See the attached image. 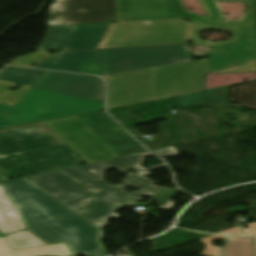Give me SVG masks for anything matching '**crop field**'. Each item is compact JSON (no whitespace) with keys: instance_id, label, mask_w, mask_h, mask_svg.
<instances>
[{"instance_id":"obj_16","label":"crop field","mask_w":256,"mask_h":256,"mask_svg":"<svg viewBox=\"0 0 256 256\" xmlns=\"http://www.w3.org/2000/svg\"><path fill=\"white\" fill-rule=\"evenodd\" d=\"M229 87L211 90L191 95H185L178 97L177 106L179 107H190V106H206L214 109L225 107L231 111L239 121H231L224 117V112H219L218 119H222V122H229L235 124H244L245 127L255 126L256 127V115L254 112L239 113L238 111L231 110L228 103ZM241 114L243 117L239 118Z\"/></svg>"},{"instance_id":"obj_35","label":"crop field","mask_w":256,"mask_h":256,"mask_svg":"<svg viewBox=\"0 0 256 256\" xmlns=\"http://www.w3.org/2000/svg\"><path fill=\"white\" fill-rule=\"evenodd\" d=\"M0 236H1V233H0Z\"/></svg>"},{"instance_id":"obj_25","label":"crop field","mask_w":256,"mask_h":256,"mask_svg":"<svg viewBox=\"0 0 256 256\" xmlns=\"http://www.w3.org/2000/svg\"><path fill=\"white\" fill-rule=\"evenodd\" d=\"M178 191L179 190L177 189L161 188L154 194L151 204H153V202L156 201L158 202L157 205L161 209L170 210L174 203H172L169 199L174 197Z\"/></svg>"},{"instance_id":"obj_33","label":"crop field","mask_w":256,"mask_h":256,"mask_svg":"<svg viewBox=\"0 0 256 256\" xmlns=\"http://www.w3.org/2000/svg\"><path fill=\"white\" fill-rule=\"evenodd\" d=\"M7 178L6 177H4L1 173H0V181H2V180H6Z\"/></svg>"},{"instance_id":"obj_24","label":"crop field","mask_w":256,"mask_h":256,"mask_svg":"<svg viewBox=\"0 0 256 256\" xmlns=\"http://www.w3.org/2000/svg\"><path fill=\"white\" fill-rule=\"evenodd\" d=\"M11 250L46 245L47 243L38 238L30 231H24L12 235L5 236Z\"/></svg>"},{"instance_id":"obj_23","label":"crop field","mask_w":256,"mask_h":256,"mask_svg":"<svg viewBox=\"0 0 256 256\" xmlns=\"http://www.w3.org/2000/svg\"><path fill=\"white\" fill-rule=\"evenodd\" d=\"M223 256H254L253 239L229 236Z\"/></svg>"},{"instance_id":"obj_17","label":"crop field","mask_w":256,"mask_h":256,"mask_svg":"<svg viewBox=\"0 0 256 256\" xmlns=\"http://www.w3.org/2000/svg\"><path fill=\"white\" fill-rule=\"evenodd\" d=\"M87 63L92 65L88 66ZM37 67L101 75L97 50L62 52L47 58Z\"/></svg>"},{"instance_id":"obj_30","label":"crop field","mask_w":256,"mask_h":256,"mask_svg":"<svg viewBox=\"0 0 256 256\" xmlns=\"http://www.w3.org/2000/svg\"><path fill=\"white\" fill-rule=\"evenodd\" d=\"M244 226H248L246 229H244ZM244 232V235H251L256 236V222L248 225L241 226Z\"/></svg>"},{"instance_id":"obj_26","label":"crop field","mask_w":256,"mask_h":256,"mask_svg":"<svg viewBox=\"0 0 256 256\" xmlns=\"http://www.w3.org/2000/svg\"><path fill=\"white\" fill-rule=\"evenodd\" d=\"M175 114L173 115L172 118H174ZM172 118H170L169 120H171ZM164 123H160V137H157L156 140L149 142L148 139H144V140H140L141 143H143L149 150H153V149H159L162 146H165L164 143L167 142V139H169V136L166 134V130L168 128V121Z\"/></svg>"},{"instance_id":"obj_8","label":"crop field","mask_w":256,"mask_h":256,"mask_svg":"<svg viewBox=\"0 0 256 256\" xmlns=\"http://www.w3.org/2000/svg\"><path fill=\"white\" fill-rule=\"evenodd\" d=\"M205 66L206 59L154 68L152 100L201 91Z\"/></svg>"},{"instance_id":"obj_29","label":"crop field","mask_w":256,"mask_h":256,"mask_svg":"<svg viewBox=\"0 0 256 256\" xmlns=\"http://www.w3.org/2000/svg\"><path fill=\"white\" fill-rule=\"evenodd\" d=\"M152 152L158 156L179 155V153H177L172 147L159 149V150H153Z\"/></svg>"},{"instance_id":"obj_34","label":"crop field","mask_w":256,"mask_h":256,"mask_svg":"<svg viewBox=\"0 0 256 256\" xmlns=\"http://www.w3.org/2000/svg\"><path fill=\"white\" fill-rule=\"evenodd\" d=\"M254 249H255V256H256V239H254Z\"/></svg>"},{"instance_id":"obj_2","label":"crop field","mask_w":256,"mask_h":256,"mask_svg":"<svg viewBox=\"0 0 256 256\" xmlns=\"http://www.w3.org/2000/svg\"><path fill=\"white\" fill-rule=\"evenodd\" d=\"M206 17L188 12L192 26V41L198 45L215 46L211 49L206 73L256 71V25L253 4L256 0H238L250 9L236 21H224L215 0H199ZM234 1V0H221ZM210 29L230 32L225 42H209L198 38Z\"/></svg>"},{"instance_id":"obj_1","label":"crop field","mask_w":256,"mask_h":256,"mask_svg":"<svg viewBox=\"0 0 256 256\" xmlns=\"http://www.w3.org/2000/svg\"><path fill=\"white\" fill-rule=\"evenodd\" d=\"M148 152L122 158L90 163L85 166L49 172L29 177L25 180L38 189L55 198L57 201L75 211L90 223L102 228L109 225L105 220L119 217L113 213L124 206L139 202L140 196L150 195L157 187L155 182L145 179L151 169L136 168L140 175L130 173L122 180V184L113 186L103 180L104 172L116 169L120 172L140 165ZM140 190L127 194L122 192L128 186ZM110 226V225H109Z\"/></svg>"},{"instance_id":"obj_10","label":"crop field","mask_w":256,"mask_h":256,"mask_svg":"<svg viewBox=\"0 0 256 256\" xmlns=\"http://www.w3.org/2000/svg\"><path fill=\"white\" fill-rule=\"evenodd\" d=\"M45 124L87 163L118 157L76 117L46 122Z\"/></svg>"},{"instance_id":"obj_22","label":"crop field","mask_w":256,"mask_h":256,"mask_svg":"<svg viewBox=\"0 0 256 256\" xmlns=\"http://www.w3.org/2000/svg\"><path fill=\"white\" fill-rule=\"evenodd\" d=\"M26 229L0 185V232L2 235Z\"/></svg>"},{"instance_id":"obj_7","label":"crop field","mask_w":256,"mask_h":256,"mask_svg":"<svg viewBox=\"0 0 256 256\" xmlns=\"http://www.w3.org/2000/svg\"><path fill=\"white\" fill-rule=\"evenodd\" d=\"M83 162L65 145L0 158V171L9 179L79 165Z\"/></svg>"},{"instance_id":"obj_5","label":"crop field","mask_w":256,"mask_h":256,"mask_svg":"<svg viewBox=\"0 0 256 256\" xmlns=\"http://www.w3.org/2000/svg\"><path fill=\"white\" fill-rule=\"evenodd\" d=\"M191 41L190 23L184 20L112 24L99 48L174 44Z\"/></svg>"},{"instance_id":"obj_27","label":"crop field","mask_w":256,"mask_h":256,"mask_svg":"<svg viewBox=\"0 0 256 256\" xmlns=\"http://www.w3.org/2000/svg\"><path fill=\"white\" fill-rule=\"evenodd\" d=\"M212 239H226V236L212 235L210 237L199 239L206 246L200 255L220 256L218 253L222 247L212 246Z\"/></svg>"},{"instance_id":"obj_9","label":"crop field","mask_w":256,"mask_h":256,"mask_svg":"<svg viewBox=\"0 0 256 256\" xmlns=\"http://www.w3.org/2000/svg\"><path fill=\"white\" fill-rule=\"evenodd\" d=\"M115 22V0H56L49 25Z\"/></svg>"},{"instance_id":"obj_32","label":"crop field","mask_w":256,"mask_h":256,"mask_svg":"<svg viewBox=\"0 0 256 256\" xmlns=\"http://www.w3.org/2000/svg\"><path fill=\"white\" fill-rule=\"evenodd\" d=\"M125 129L128 130L136 139H141L142 138L140 136V134L137 133L130 125L125 126Z\"/></svg>"},{"instance_id":"obj_28","label":"crop field","mask_w":256,"mask_h":256,"mask_svg":"<svg viewBox=\"0 0 256 256\" xmlns=\"http://www.w3.org/2000/svg\"><path fill=\"white\" fill-rule=\"evenodd\" d=\"M48 55V52L45 51H39L38 53H35L33 55L25 56V57H20L16 61L10 63L12 65H19V66H26L30 67L32 66L35 62L39 61L41 58L45 57Z\"/></svg>"},{"instance_id":"obj_15","label":"crop field","mask_w":256,"mask_h":256,"mask_svg":"<svg viewBox=\"0 0 256 256\" xmlns=\"http://www.w3.org/2000/svg\"><path fill=\"white\" fill-rule=\"evenodd\" d=\"M62 144L43 123L0 131V156Z\"/></svg>"},{"instance_id":"obj_13","label":"crop field","mask_w":256,"mask_h":256,"mask_svg":"<svg viewBox=\"0 0 256 256\" xmlns=\"http://www.w3.org/2000/svg\"><path fill=\"white\" fill-rule=\"evenodd\" d=\"M108 24L49 26L44 43L38 50L66 49L86 50L95 49L103 36Z\"/></svg>"},{"instance_id":"obj_4","label":"crop field","mask_w":256,"mask_h":256,"mask_svg":"<svg viewBox=\"0 0 256 256\" xmlns=\"http://www.w3.org/2000/svg\"><path fill=\"white\" fill-rule=\"evenodd\" d=\"M100 110V102L31 88L15 107L0 104V128Z\"/></svg>"},{"instance_id":"obj_31","label":"crop field","mask_w":256,"mask_h":256,"mask_svg":"<svg viewBox=\"0 0 256 256\" xmlns=\"http://www.w3.org/2000/svg\"><path fill=\"white\" fill-rule=\"evenodd\" d=\"M217 234H234V235H242L240 230H239V227L238 228H234V229H230V230H227V231H223V232H219Z\"/></svg>"},{"instance_id":"obj_19","label":"crop field","mask_w":256,"mask_h":256,"mask_svg":"<svg viewBox=\"0 0 256 256\" xmlns=\"http://www.w3.org/2000/svg\"><path fill=\"white\" fill-rule=\"evenodd\" d=\"M98 137L119 157L146 151L124 130L99 135Z\"/></svg>"},{"instance_id":"obj_18","label":"crop field","mask_w":256,"mask_h":256,"mask_svg":"<svg viewBox=\"0 0 256 256\" xmlns=\"http://www.w3.org/2000/svg\"><path fill=\"white\" fill-rule=\"evenodd\" d=\"M42 72L41 70L4 67L0 71V102L5 103L13 97L8 104L16 105ZM17 83L24 86L12 93L10 97L6 96L10 93L8 91Z\"/></svg>"},{"instance_id":"obj_6","label":"crop field","mask_w":256,"mask_h":256,"mask_svg":"<svg viewBox=\"0 0 256 256\" xmlns=\"http://www.w3.org/2000/svg\"><path fill=\"white\" fill-rule=\"evenodd\" d=\"M103 75L192 61L188 44L100 50Z\"/></svg>"},{"instance_id":"obj_3","label":"crop field","mask_w":256,"mask_h":256,"mask_svg":"<svg viewBox=\"0 0 256 256\" xmlns=\"http://www.w3.org/2000/svg\"><path fill=\"white\" fill-rule=\"evenodd\" d=\"M1 185L26 228L49 244L66 243L99 229L55 199L36 191L22 178Z\"/></svg>"},{"instance_id":"obj_20","label":"crop field","mask_w":256,"mask_h":256,"mask_svg":"<svg viewBox=\"0 0 256 256\" xmlns=\"http://www.w3.org/2000/svg\"><path fill=\"white\" fill-rule=\"evenodd\" d=\"M103 233L104 231L99 229L95 232L68 242L66 245L73 256L82 254L87 256H107L106 251L100 243V239L103 238Z\"/></svg>"},{"instance_id":"obj_11","label":"crop field","mask_w":256,"mask_h":256,"mask_svg":"<svg viewBox=\"0 0 256 256\" xmlns=\"http://www.w3.org/2000/svg\"><path fill=\"white\" fill-rule=\"evenodd\" d=\"M153 69L106 78L108 109L151 100Z\"/></svg>"},{"instance_id":"obj_14","label":"crop field","mask_w":256,"mask_h":256,"mask_svg":"<svg viewBox=\"0 0 256 256\" xmlns=\"http://www.w3.org/2000/svg\"><path fill=\"white\" fill-rule=\"evenodd\" d=\"M32 87L102 102V81L97 77L44 71Z\"/></svg>"},{"instance_id":"obj_12","label":"crop field","mask_w":256,"mask_h":256,"mask_svg":"<svg viewBox=\"0 0 256 256\" xmlns=\"http://www.w3.org/2000/svg\"><path fill=\"white\" fill-rule=\"evenodd\" d=\"M181 0H118V22L188 19Z\"/></svg>"},{"instance_id":"obj_21","label":"crop field","mask_w":256,"mask_h":256,"mask_svg":"<svg viewBox=\"0 0 256 256\" xmlns=\"http://www.w3.org/2000/svg\"><path fill=\"white\" fill-rule=\"evenodd\" d=\"M0 256H72L65 244L46 245L11 251L4 237L0 238Z\"/></svg>"}]
</instances>
